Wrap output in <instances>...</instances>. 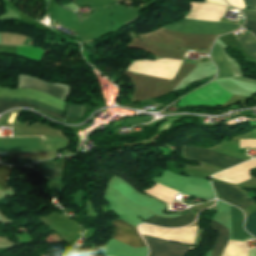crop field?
Returning <instances> with one entry per match:
<instances>
[{"label":"crop field","instance_id":"8a807250","mask_svg":"<svg viewBox=\"0 0 256 256\" xmlns=\"http://www.w3.org/2000/svg\"><path fill=\"white\" fill-rule=\"evenodd\" d=\"M240 26L227 23L199 22L183 19L175 24L164 26L168 30L194 34H216L238 29Z\"/></svg>","mask_w":256,"mask_h":256},{"label":"crop field","instance_id":"ac0d7876","mask_svg":"<svg viewBox=\"0 0 256 256\" xmlns=\"http://www.w3.org/2000/svg\"><path fill=\"white\" fill-rule=\"evenodd\" d=\"M184 156L185 158L200 160L204 163L211 164L224 169H227L231 166H234L244 161L222 154H218L212 151L194 147H184Z\"/></svg>","mask_w":256,"mask_h":256},{"label":"crop field","instance_id":"34b2d1b8","mask_svg":"<svg viewBox=\"0 0 256 256\" xmlns=\"http://www.w3.org/2000/svg\"><path fill=\"white\" fill-rule=\"evenodd\" d=\"M143 237L150 247L149 256H184L192 248L147 235H143Z\"/></svg>","mask_w":256,"mask_h":256},{"label":"crop field","instance_id":"412701ff","mask_svg":"<svg viewBox=\"0 0 256 256\" xmlns=\"http://www.w3.org/2000/svg\"><path fill=\"white\" fill-rule=\"evenodd\" d=\"M112 223L115 227L113 238L134 248L145 246L135 227L122 220L114 221Z\"/></svg>","mask_w":256,"mask_h":256},{"label":"crop field","instance_id":"f4fd0767","mask_svg":"<svg viewBox=\"0 0 256 256\" xmlns=\"http://www.w3.org/2000/svg\"><path fill=\"white\" fill-rule=\"evenodd\" d=\"M0 101H5V102H27V103H34V104H38V105H42L44 107H47L49 109L55 110L57 112L60 113H64V109L34 100V99H12V98H6V97H0ZM5 102H0V113H2L3 111L11 108V107H17V106H22V107H28V108H32V107H36L39 110L57 116V117H61L62 118V114L57 113L55 111L49 110L47 108H44L42 106H38V105H34V104H26V103H5Z\"/></svg>","mask_w":256,"mask_h":256},{"label":"crop field","instance_id":"dd49c442","mask_svg":"<svg viewBox=\"0 0 256 256\" xmlns=\"http://www.w3.org/2000/svg\"><path fill=\"white\" fill-rule=\"evenodd\" d=\"M213 185L225 201L230 202L240 207L241 209H245L255 203L246 195L242 194L241 192L229 185L217 182H213Z\"/></svg>","mask_w":256,"mask_h":256},{"label":"crop field","instance_id":"e52e79f7","mask_svg":"<svg viewBox=\"0 0 256 256\" xmlns=\"http://www.w3.org/2000/svg\"><path fill=\"white\" fill-rule=\"evenodd\" d=\"M211 57L219 70V74L217 78L233 76L231 65L228 63L227 59L223 55L221 47L215 44L212 50Z\"/></svg>","mask_w":256,"mask_h":256},{"label":"crop field","instance_id":"d8731c3e","mask_svg":"<svg viewBox=\"0 0 256 256\" xmlns=\"http://www.w3.org/2000/svg\"><path fill=\"white\" fill-rule=\"evenodd\" d=\"M194 217L195 216H193L191 214H187L182 217H178V218H174V219L153 216V217L147 219L145 222L160 225L163 227H181V226H185V225H188L189 223H191L193 221Z\"/></svg>","mask_w":256,"mask_h":256},{"label":"crop field","instance_id":"5a996713","mask_svg":"<svg viewBox=\"0 0 256 256\" xmlns=\"http://www.w3.org/2000/svg\"><path fill=\"white\" fill-rule=\"evenodd\" d=\"M211 228L218 231L220 236L213 248L211 256H220L229 238V229L225 228L221 224L212 221Z\"/></svg>","mask_w":256,"mask_h":256},{"label":"crop field","instance_id":"3316defc","mask_svg":"<svg viewBox=\"0 0 256 256\" xmlns=\"http://www.w3.org/2000/svg\"><path fill=\"white\" fill-rule=\"evenodd\" d=\"M247 252L245 242L229 240L222 256H247Z\"/></svg>","mask_w":256,"mask_h":256},{"label":"crop field","instance_id":"28ad6ade","mask_svg":"<svg viewBox=\"0 0 256 256\" xmlns=\"http://www.w3.org/2000/svg\"><path fill=\"white\" fill-rule=\"evenodd\" d=\"M247 7L252 10H256V0H245ZM247 16L245 26L251 30L253 34L256 35V11H246L241 10Z\"/></svg>","mask_w":256,"mask_h":256},{"label":"crop field","instance_id":"d1516ede","mask_svg":"<svg viewBox=\"0 0 256 256\" xmlns=\"http://www.w3.org/2000/svg\"><path fill=\"white\" fill-rule=\"evenodd\" d=\"M55 167H56L55 163H48V164L37 163V164L27 166L26 168L32 169V170L36 171L37 173H39L41 175V177L49 179V177L53 173Z\"/></svg>","mask_w":256,"mask_h":256},{"label":"crop field","instance_id":"22f410ed","mask_svg":"<svg viewBox=\"0 0 256 256\" xmlns=\"http://www.w3.org/2000/svg\"><path fill=\"white\" fill-rule=\"evenodd\" d=\"M248 53L256 59V38L250 34L236 38Z\"/></svg>","mask_w":256,"mask_h":256},{"label":"crop field","instance_id":"cbeb9de0","mask_svg":"<svg viewBox=\"0 0 256 256\" xmlns=\"http://www.w3.org/2000/svg\"><path fill=\"white\" fill-rule=\"evenodd\" d=\"M11 169L12 167L10 166H4L0 164V191L9 189L6 185V182L11 175Z\"/></svg>","mask_w":256,"mask_h":256},{"label":"crop field","instance_id":"5142ce71","mask_svg":"<svg viewBox=\"0 0 256 256\" xmlns=\"http://www.w3.org/2000/svg\"><path fill=\"white\" fill-rule=\"evenodd\" d=\"M246 230L256 236V211L251 213L245 222Z\"/></svg>","mask_w":256,"mask_h":256},{"label":"crop field","instance_id":"d9b57169","mask_svg":"<svg viewBox=\"0 0 256 256\" xmlns=\"http://www.w3.org/2000/svg\"><path fill=\"white\" fill-rule=\"evenodd\" d=\"M83 111V106L69 105L65 117L80 118Z\"/></svg>","mask_w":256,"mask_h":256},{"label":"crop field","instance_id":"733c2abd","mask_svg":"<svg viewBox=\"0 0 256 256\" xmlns=\"http://www.w3.org/2000/svg\"><path fill=\"white\" fill-rule=\"evenodd\" d=\"M34 161L24 160V159H8L4 160L3 163L9 165H17V166H26Z\"/></svg>","mask_w":256,"mask_h":256},{"label":"crop field","instance_id":"4a817a6b","mask_svg":"<svg viewBox=\"0 0 256 256\" xmlns=\"http://www.w3.org/2000/svg\"><path fill=\"white\" fill-rule=\"evenodd\" d=\"M166 203V202H165ZM168 204V203H167Z\"/></svg>","mask_w":256,"mask_h":256}]
</instances>
